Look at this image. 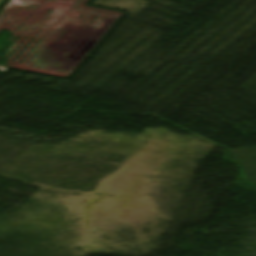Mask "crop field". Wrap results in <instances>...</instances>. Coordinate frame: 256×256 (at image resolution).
<instances>
[{
  "label": "crop field",
  "mask_w": 256,
  "mask_h": 256,
  "mask_svg": "<svg viewBox=\"0 0 256 256\" xmlns=\"http://www.w3.org/2000/svg\"><path fill=\"white\" fill-rule=\"evenodd\" d=\"M3 0H0V4ZM18 0H11L9 4L0 13V21L5 17V15L10 11V9L16 4Z\"/></svg>",
  "instance_id": "8a807250"
}]
</instances>
